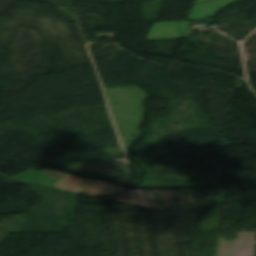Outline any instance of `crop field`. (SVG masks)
Returning a JSON list of instances; mask_svg holds the SVG:
<instances>
[{
  "instance_id": "crop-field-1",
  "label": "crop field",
  "mask_w": 256,
  "mask_h": 256,
  "mask_svg": "<svg viewBox=\"0 0 256 256\" xmlns=\"http://www.w3.org/2000/svg\"><path fill=\"white\" fill-rule=\"evenodd\" d=\"M181 39L179 22L154 25L147 40Z\"/></svg>"
},
{
  "instance_id": "crop-field-2",
  "label": "crop field",
  "mask_w": 256,
  "mask_h": 256,
  "mask_svg": "<svg viewBox=\"0 0 256 256\" xmlns=\"http://www.w3.org/2000/svg\"><path fill=\"white\" fill-rule=\"evenodd\" d=\"M241 0H217L204 4L196 5L190 18L192 20H198L212 15L218 9L228 6L230 3H234Z\"/></svg>"
},
{
  "instance_id": "crop-field-3",
  "label": "crop field",
  "mask_w": 256,
  "mask_h": 256,
  "mask_svg": "<svg viewBox=\"0 0 256 256\" xmlns=\"http://www.w3.org/2000/svg\"><path fill=\"white\" fill-rule=\"evenodd\" d=\"M181 33L183 38L191 37L193 31L188 29L189 22H180Z\"/></svg>"
},
{
  "instance_id": "crop-field-4",
  "label": "crop field",
  "mask_w": 256,
  "mask_h": 256,
  "mask_svg": "<svg viewBox=\"0 0 256 256\" xmlns=\"http://www.w3.org/2000/svg\"><path fill=\"white\" fill-rule=\"evenodd\" d=\"M202 1H206V0H197V1H196V3H198V2H202Z\"/></svg>"
}]
</instances>
